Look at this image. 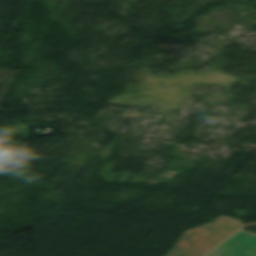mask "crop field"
I'll return each mask as SVG.
<instances>
[{
  "mask_svg": "<svg viewBox=\"0 0 256 256\" xmlns=\"http://www.w3.org/2000/svg\"><path fill=\"white\" fill-rule=\"evenodd\" d=\"M243 225L220 216L215 221L188 230L166 256H203Z\"/></svg>",
  "mask_w": 256,
  "mask_h": 256,
  "instance_id": "8a807250",
  "label": "crop field"
},
{
  "mask_svg": "<svg viewBox=\"0 0 256 256\" xmlns=\"http://www.w3.org/2000/svg\"><path fill=\"white\" fill-rule=\"evenodd\" d=\"M208 256H256V234L241 230Z\"/></svg>",
  "mask_w": 256,
  "mask_h": 256,
  "instance_id": "ac0d7876",
  "label": "crop field"
}]
</instances>
